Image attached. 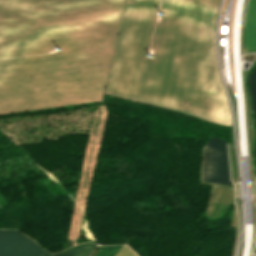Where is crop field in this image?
Returning <instances> with one entry per match:
<instances>
[{
    "label": "crop field",
    "mask_w": 256,
    "mask_h": 256,
    "mask_svg": "<svg viewBox=\"0 0 256 256\" xmlns=\"http://www.w3.org/2000/svg\"><path fill=\"white\" fill-rule=\"evenodd\" d=\"M256 51V0H248L243 52Z\"/></svg>",
    "instance_id": "crop-field-5"
},
{
    "label": "crop field",
    "mask_w": 256,
    "mask_h": 256,
    "mask_svg": "<svg viewBox=\"0 0 256 256\" xmlns=\"http://www.w3.org/2000/svg\"><path fill=\"white\" fill-rule=\"evenodd\" d=\"M248 82H249V90H250L252 104H253L254 116L256 120V67L252 71ZM255 156H256V147H255Z\"/></svg>",
    "instance_id": "crop-field-7"
},
{
    "label": "crop field",
    "mask_w": 256,
    "mask_h": 256,
    "mask_svg": "<svg viewBox=\"0 0 256 256\" xmlns=\"http://www.w3.org/2000/svg\"><path fill=\"white\" fill-rule=\"evenodd\" d=\"M38 246L17 230H0V256L52 255Z\"/></svg>",
    "instance_id": "crop-field-4"
},
{
    "label": "crop field",
    "mask_w": 256,
    "mask_h": 256,
    "mask_svg": "<svg viewBox=\"0 0 256 256\" xmlns=\"http://www.w3.org/2000/svg\"><path fill=\"white\" fill-rule=\"evenodd\" d=\"M255 253H256V249H255Z\"/></svg>",
    "instance_id": "crop-field-10"
},
{
    "label": "crop field",
    "mask_w": 256,
    "mask_h": 256,
    "mask_svg": "<svg viewBox=\"0 0 256 256\" xmlns=\"http://www.w3.org/2000/svg\"><path fill=\"white\" fill-rule=\"evenodd\" d=\"M220 0H127L106 94L231 126L215 60V14ZM150 47V46H149Z\"/></svg>",
    "instance_id": "crop-field-2"
},
{
    "label": "crop field",
    "mask_w": 256,
    "mask_h": 256,
    "mask_svg": "<svg viewBox=\"0 0 256 256\" xmlns=\"http://www.w3.org/2000/svg\"><path fill=\"white\" fill-rule=\"evenodd\" d=\"M121 245L101 247L95 256H114Z\"/></svg>",
    "instance_id": "crop-field-8"
},
{
    "label": "crop field",
    "mask_w": 256,
    "mask_h": 256,
    "mask_svg": "<svg viewBox=\"0 0 256 256\" xmlns=\"http://www.w3.org/2000/svg\"><path fill=\"white\" fill-rule=\"evenodd\" d=\"M125 3L0 0V58L63 49L0 61V113L100 101Z\"/></svg>",
    "instance_id": "crop-field-1"
},
{
    "label": "crop field",
    "mask_w": 256,
    "mask_h": 256,
    "mask_svg": "<svg viewBox=\"0 0 256 256\" xmlns=\"http://www.w3.org/2000/svg\"><path fill=\"white\" fill-rule=\"evenodd\" d=\"M201 181L232 185L229 180V168L226 142L211 137L203 148Z\"/></svg>",
    "instance_id": "crop-field-3"
},
{
    "label": "crop field",
    "mask_w": 256,
    "mask_h": 256,
    "mask_svg": "<svg viewBox=\"0 0 256 256\" xmlns=\"http://www.w3.org/2000/svg\"><path fill=\"white\" fill-rule=\"evenodd\" d=\"M96 245L84 243L73 248L56 253L52 256H89L95 249Z\"/></svg>",
    "instance_id": "crop-field-6"
},
{
    "label": "crop field",
    "mask_w": 256,
    "mask_h": 256,
    "mask_svg": "<svg viewBox=\"0 0 256 256\" xmlns=\"http://www.w3.org/2000/svg\"><path fill=\"white\" fill-rule=\"evenodd\" d=\"M115 256H135L134 253L125 245L119 249Z\"/></svg>",
    "instance_id": "crop-field-9"
}]
</instances>
